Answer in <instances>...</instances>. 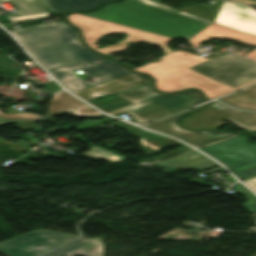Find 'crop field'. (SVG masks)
<instances>
[{
	"label": "crop field",
	"mask_w": 256,
	"mask_h": 256,
	"mask_svg": "<svg viewBox=\"0 0 256 256\" xmlns=\"http://www.w3.org/2000/svg\"><path fill=\"white\" fill-rule=\"evenodd\" d=\"M111 121H114V120H112V119H103V120H97V121H86L82 125L74 127V128H71V129H68L66 131H70V130H73V129H76V128L84 130V129L91 128V127H94V126H97V125H101V124H104V123H107V122H111Z\"/></svg>",
	"instance_id": "crop-field-25"
},
{
	"label": "crop field",
	"mask_w": 256,
	"mask_h": 256,
	"mask_svg": "<svg viewBox=\"0 0 256 256\" xmlns=\"http://www.w3.org/2000/svg\"><path fill=\"white\" fill-rule=\"evenodd\" d=\"M41 117L32 113L27 114H2L0 108V126L9 123H27V122H38Z\"/></svg>",
	"instance_id": "crop-field-22"
},
{
	"label": "crop field",
	"mask_w": 256,
	"mask_h": 256,
	"mask_svg": "<svg viewBox=\"0 0 256 256\" xmlns=\"http://www.w3.org/2000/svg\"><path fill=\"white\" fill-rule=\"evenodd\" d=\"M227 120L240 128L256 133V113L238 110L218 102H213L209 107L196 112L180 122L188 128H214L218 129Z\"/></svg>",
	"instance_id": "crop-field-8"
},
{
	"label": "crop field",
	"mask_w": 256,
	"mask_h": 256,
	"mask_svg": "<svg viewBox=\"0 0 256 256\" xmlns=\"http://www.w3.org/2000/svg\"><path fill=\"white\" fill-rule=\"evenodd\" d=\"M201 102L204 99L196 92L162 95L153 92L147 83L89 103L112 115L126 112L134 116L133 122L137 123L170 116Z\"/></svg>",
	"instance_id": "crop-field-3"
},
{
	"label": "crop field",
	"mask_w": 256,
	"mask_h": 256,
	"mask_svg": "<svg viewBox=\"0 0 256 256\" xmlns=\"http://www.w3.org/2000/svg\"><path fill=\"white\" fill-rule=\"evenodd\" d=\"M220 100L237 108L256 111V84Z\"/></svg>",
	"instance_id": "crop-field-20"
},
{
	"label": "crop field",
	"mask_w": 256,
	"mask_h": 256,
	"mask_svg": "<svg viewBox=\"0 0 256 256\" xmlns=\"http://www.w3.org/2000/svg\"><path fill=\"white\" fill-rule=\"evenodd\" d=\"M244 182H246L249 186H251L256 191V177L248 180H244Z\"/></svg>",
	"instance_id": "crop-field-27"
},
{
	"label": "crop field",
	"mask_w": 256,
	"mask_h": 256,
	"mask_svg": "<svg viewBox=\"0 0 256 256\" xmlns=\"http://www.w3.org/2000/svg\"><path fill=\"white\" fill-rule=\"evenodd\" d=\"M212 57L189 69L235 90L256 82V62L241 56Z\"/></svg>",
	"instance_id": "crop-field-6"
},
{
	"label": "crop field",
	"mask_w": 256,
	"mask_h": 256,
	"mask_svg": "<svg viewBox=\"0 0 256 256\" xmlns=\"http://www.w3.org/2000/svg\"><path fill=\"white\" fill-rule=\"evenodd\" d=\"M244 3L256 6V0H245Z\"/></svg>",
	"instance_id": "crop-field-29"
},
{
	"label": "crop field",
	"mask_w": 256,
	"mask_h": 256,
	"mask_svg": "<svg viewBox=\"0 0 256 256\" xmlns=\"http://www.w3.org/2000/svg\"><path fill=\"white\" fill-rule=\"evenodd\" d=\"M0 143H3V144H7V145H10V144H13L11 142H8V141H4V140H1L0 139ZM30 145L28 142L24 141V140H21L20 142L8 147L9 149H12V150H16V151H20V152H23L27 149L30 148Z\"/></svg>",
	"instance_id": "crop-field-24"
},
{
	"label": "crop field",
	"mask_w": 256,
	"mask_h": 256,
	"mask_svg": "<svg viewBox=\"0 0 256 256\" xmlns=\"http://www.w3.org/2000/svg\"><path fill=\"white\" fill-rule=\"evenodd\" d=\"M8 0H0V2ZM20 12V15L11 16L12 21L34 19L48 16V12L38 0H11Z\"/></svg>",
	"instance_id": "crop-field-19"
},
{
	"label": "crop field",
	"mask_w": 256,
	"mask_h": 256,
	"mask_svg": "<svg viewBox=\"0 0 256 256\" xmlns=\"http://www.w3.org/2000/svg\"><path fill=\"white\" fill-rule=\"evenodd\" d=\"M68 20L72 22L74 25L81 28L84 41L90 47H92L95 41L104 34L118 33V32L126 33L127 36L124 41L118 42L116 45L106 46L102 49L96 50L116 61L118 60L111 57L108 53L124 50V47H126L124 44L127 42L136 43L142 40L148 43L159 45L165 51V53L171 52L170 48L166 44L167 42L172 40L171 38L119 26L116 24H112V23L91 18V17L82 16L79 14L69 15ZM122 64L128 67H132L126 63H122Z\"/></svg>",
	"instance_id": "crop-field-5"
},
{
	"label": "crop field",
	"mask_w": 256,
	"mask_h": 256,
	"mask_svg": "<svg viewBox=\"0 0 256 256\" xmlns=\"http://www.w3.org/2000/svg\"><path fill=\"white\" fill-rule=\"evenodd\" d=\"M103 245L100 238L79 240L46 256H102Z\"/></svg>",
	"instance_id": "crop-field-17"
},
{
	"label": "crop field",
	"mask_w": 256,
	"mask_h": 256,
	"mask_svg": "<svg viewBox=\"0 0 256 256\" xmlns=\"http://www.w3.org/2000/svg\"><path fill=\"white\" fill-rule=\"evenodd\" d=\"M149 82L148 78L141 75L131 74L104 83L97 84L93 87L73 92L83 100L89 102L98 96L121 92L144 83Z\"/></svg>",
	"instance_id": "crop-field-12"
},
{
	"label": "crop field",
	"mask_w": 256,
	"mask_h": 256,
	"mask_svg": "<svg viewBox=\"0 0 256 256\" xmlns=\"http://www.w3.org/2000/svg\"><path fill=\"white\" fill-rule=\"evenodd\" d=\"M111 125L115 126V127L123 128V129L127 130L129 134H131V135L137 137L138 139H140L141 144L144 148V152L147 155L157 153L159 150H161L165 147L176 145V144H181L182 147L178 148L176 150H173V151H171V152H169L165 155H168V154H171L173 152L188 148L187 146L183 145L182 143H180L176 140H173V139H170V138H167V137H163V136H160V135H157V134L146 132V131H144L140 128H137L133 125L127 124V123L122 122V121L113 123ZM165 155H163V156H165Z\"/></svg>",
	"instance_id": "crop-field-15"
},
{
	"label": "crop field",
	"mask_w": 256,
	"mask_h": 256,
	"mask_svg": "<svg viewBox=\"0 0 256 256\" xmlns=\"http://www.w3.org/2000/svg\"><path fill=\"white\" fill-rule=\"evenodd\" d=\"M234 187L236 192L248 199V201L244 204V207L247 208L250 213L256 212V197L239 183L235 184Z\"/></svg>",
	"instance_id": "crop-field-23"
},
{
	"label": "crop field",
	"mask_w": 256,
	"mask_h": 256,
	"mask_svg": "<svg viewBox=\"0 0 256 256\" xmlns=\"http://www.w3.org/2000/svg\"><path fill=\"white\" fill-rule=\"evenodd\" d=\"M85 15L173 38L183 37L185 39L192 38L210 24L201 18L168 9L154 0H126Z\"/></svg>",
	"instance_id": "crop-field-2"
},
{
	"label": "crop field",
	"mask_w": 256,
	"mask_h": 256,
	"mask_svg": "<svg viewBox=\"0 0 256 256\" xmlns=\"http://www.w3.org/2000/svg\"><path fill=\"white\" fill-rule=\"evenodd\" d=\"M229 1H242L243 2L244 0H229Z\"/></svg>",
	"instance_id": "crop-field-30"
},
{
	"label": "crop field",
	"mask_w": 256,
	"mask_h": 256,
	"mask_svg": "<svg viewBox=\"0 0 256 256\" xmlns=\"http://www.w3.org/2000/svg\"><path fill=\"white\" fill-rule=\"evenodd\" d=\"M184 54L176 51L160 57L159 62H150L135 70L152 75L159 91L172 92L195 87L201 89L209 99L234 91L187 69L207 59L187 53L184 56Z\"/></svg>",
	"instance_id": "crop-field-4"
},
{
	"label": "crop field",
	"mask_w": 256,
	"mask_h": 256,
	"mask_svg": "<svg viewBox=\"0 0 256 256\" xmlns=\"http://www.w3.org/2000/svg\"><path fill=\"white\" fill-rule=\"evenodd\" d=\"M18 129H30L37 128L36 123H27V124H16Z\"/></svg>",
	"instance_id": "crop-field-26"
},
{
	"label": "crop field",
	"mask_w": 256,
	"mask_h": 256,
	"mask_svg": "<svg viewBox=\"0 0 256 256\" xmlns=\"http://www.w3.org/2000/svg\"><path fill=\"white\" fill-rule=\"evenodd\" d=\"M77 237L79 236L37 230L12 240L0 242V252L7 256H37Z\"/></svg>",
	"instance_id": "crop-field-9"
},
{
	"label": "crop field",
	"mask_w": 256,
	"mask_h": 256,
	"mask_svg": "<svg viewBox=\"0 0 256 256\" xmlns=\"http://www.w3.org/2000/svg\"><path fill=\"white\" fill-rule=\"evenodd\" d=\"M153 165L167 169L189 170L191 168H195L198 171H205L219 166L218 164L211 161L209 158L196 151L189 152L187 154L177 156L168 160H164Z\"/></svg>",
	"instance_id": "crop-field-16"
},
{
	"label": "crop field",
	"mask_w": 256,
	"mask_h": 256,
	"mask_svg": "<svg viewBox=\"0 0 256 256\" xmlns=\"http://www.w3.org/2000/svg\"><path fill=\"white\" fill-rule=\"evenodd\" d=\"M215 23L256 35V10L244 4L224 1Z\"/></svg>",
	"instance_id": "crop-field-11"
},
{
	"label": "crop field",
	"mask_w": 256,
	"mask_h": 256,
	"mask_svg": "<svg viewBox=\"0 0 256 256\" xmlns=\"http://www.w3.org/2000/svg\"><path fill=\"white\" fill-rule=\"evenodd\" d=\"M51 12H65L73 10H89L96 8L101 2L112 0H39Z\"/></svg>",
	"instance_id": "crop-field-18"
},
{
	"label": "crop field",
	"mask_w": 256,
	"mask_h": 256,
	"mask_svg": "<svg viewBox=\"0 0 256 256\" xmlns=\"http://www.w3.org/2000/svg\"><path fill=\"white\" fill-rule=\"evenodd\" d=\"M66 112L74 116H102V114L64 91L53 94L49 104L47 118H52Z\"/></svg>",
	"instance_id": "crop-field-14"
},
{
	"label": "crop field",
	"mask_w": 256,
	"mask_h": 256,
	"mask_svg": "<svg viewBox=\"0 0 256 256\" xmlns=\"http://www.w3.org/2000/svg\"><path fill=\"white\" fill-rule=\"evenodd\" d=\"M10 32L71 92L131 74L81 45L76 30L62 21ZM76 69L84 70L95 83L79 78Z\"/></svg>",
	"instance_id": "crop-field-1"
},
{
	"label": "crop field",
	"mask_w": 256,
	"mask_h": 256,
	"mask_svg": "<svg viewBox=\"0 0 256 256\" xmlns=\"http://www.w3.org/2000/svg\"><path fill=\"white\" fill-rule=\"evenodd\" d=\"M196 108H200V106ZM174 117L157 121L154 123H145V124H142V126L174 136V137H178L197 148L239 136L235 134L216 133V132H209V131H186V130L180 129L178 126L174 124L173 122Z\"/></svg>",
	"instance_id": "crop-field-10"
},
{
	"label": "crop field",
	"mask_w": 256,
	"mask_h": 256,
	"mask_svg": "<svg viewBox=\"0 0 256 256\" xmlns=\"http://www.w3.org/2000/svg\"><path fill=\"white\" fill-rule=\"evenodd\" d=\"M241 136L200 148L217 161L226 165L240 178L256 175V145Z\"/></svg>",
	"instance_id": "crop-field-7"
},
{
	"label": "crop field",
	"mask_w": 256,
	"mask_h": 256,
	"mask_svg": "<svg viewBox=\"0 0 256 256\" xmlns=\"http://www.w3.org/2000/svg\"><path fill=\"white\" fill-rule=\"evenodd\" d=\"M74 125H77V124L71 123V124H68V125L63 126V127H59V128H54V129L48 130L47 132L50 134V133H53V132L60 131V130H62L64 128L74 126Z\"/></svg>",
	"instance_id": "crop-field-28"
},
{
	"label": "crop field",
	"mask_w": 256,
	"mask_h": 256,
	"mask_svg": "<svg viewBox=\"0 0 256 256\" xmlns=\"http://www.w3.org/2000/svg\"><path fill=\"white\" fill-rule=\"evenodd\" d=\"M210 38H221V39L234 40V41H238L243 44H247V45L256 47V36L237 32V31L231 30L229 28L215 24V23H212L211 25H209L207 28L202 30L200 33H198L196 36H194L189 41L196 48V47L200 46L202 41L210 39ZM246 57L256 60V50L247 53Z\"/></svg>",
	"instance_id": "crop-field-13"
},
{
	"label": "crop field",
	"mask_w": 256,
	"mask_h": 256,
	"mask_svg": "<svg viewBox=\"0 0 256 256\" xmlns=\"http://www.w3.org/2000/svg\"><path fill=\"white\" fill-rule=\"evenodd\" d=\"M90 149L91 151L85 152L84 154H82V156H85L94 160H104L112 163H120L125 158H127L125 156H122L110 151H106L95 146L91 147Z\"/></svg>",
	"instance_id": "crop-field-21"
}]
</instances>
